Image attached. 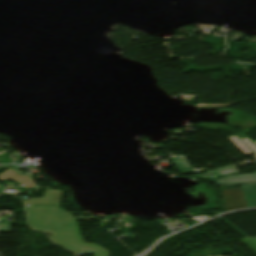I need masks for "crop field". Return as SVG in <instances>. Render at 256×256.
Returning a JSON list of instances; mask_svg holds the SVG:
<instances>
[{"label": "crop field", "instance_id": "2", "mask_svg": "<svg viewBox=\"0 0 256 256\" xmlns=\"http://www.w3.org/2000/svg\"><path fill=\"white\" fill-rule=\"evenodd\" d=\"M221 192L226 201L224 210L248 208L241 187L233 189L222 188Z\"/></svg>", "mask_w": 256, "mask_h": 256}, {"label": "crop field", "instance_id": "10", "mask_svg": "<svg viewBox=\"0 0 256 256\" xmlns=\"http://www.w3.org/2000/svg\"><path fill=\"white\" fill-rule=\"evenodd\" d=\"M10 225H0V233L1 232H9Z\"/></svg>", "mask_w": 256, "mask_h": 256}, {"label": "crop field", "instance_id": "4", "mask_svg": "<svg viewBox=\"0 0 256 256\" xmlns=\"http://www.w3.org/2000/svg\"><path fill=\"white\" fill-rule=\"evenodd\" d=\"M229 139L245 155L252 154L256 157V141H251L249 138L239 139L236 136L229 137Z\"/></svg>", "mask_w": 256, "mask_h": 256}, {"label": "crop field", "instance_id": "5", "mask_svg": "<svg viewBox=\"0 0 256 256\" xmlns=\"http://www.w3.org/2000/svg\"><path fill=\"white\" fill-rule=\"evenodd\" d=\"M21 178V179H19ZM11 179L17 183H21V187L24 188H35L33 183L30 182L26 176H17L14 169H7L4 173L0 174V180ZM28 181V183L26 182Z\"/></svg>", "mask_w": 256, "mask_h": 256}, {"label": "crop field", "instance_id": "7", "mask_svg": "<svg viewBox=\"0 0 256 256\" xmlns=\"http://www.w3.org/2000/svg\"><path fill=\"white\" fill-rule=\"evenodd\" d=\"M171 161L174 163L179 172L192 169L185 157H174L171 158Z\"/></svg>", "mask_w": 256, "mask_h": 256}, {"label": "crop field", "instance_id": "8", "mask_svg": "<svg viewBox=\"0 0 256 256\" xmlns=\"http://www.w3.org/2000/svg\"><path fill=\"white\" fill-rule=\"evenodd\" d=\"M215 171L217 172V174L219 176L227 175V174H231V173H235L236 172V170L234 169L233 165L227 166V167H223V168H219V169H215Z\"/></svg>", "mask_w": 256, "mask_h": 256}, {"label": "crop field", "instance_id": "3", "mask_svg": "<svg viewBox=\"0 0 256 256\" xmlns=\"http://www.w3.org/2000/svg\"><path fill=\"white\" fill-rule=\"evenodd\" d=\"M214 182L217 186H227V185H236V184H254L256 183V172L248 175L240 176H227L219 179H215ZM232 182V184H229Z\"/></svg>", "mask_w": 256, "mask_h": 256}, {"label": "crop field", "instance_id": "1", "mask_svg": "<svg viewBox=\"0 0 256 256\" xmlns=\"http://www.w3.org/2000/svg\"><path fill=\"white\" fill-rule=\"evenodd\" d=\"M63 191L46 189L43 198L25 200L28 221L34 229L51 233L52 240L77 255L94 252V256H105L100 248L82 243L73 215L59 209ZM55 204V206H32ZM52 217V219H50Z\"/></svg>", "mask_w": 256, "mask_h": 256}, {"label": "crop field", "instance_id": "9", "mask_svg": "<svg viewBox=\"0 0 256 256\" xmlns=\"http://www.w3.org/2000/svg\"><path fill=\"white\" fill-rule=\"evenodd\" d=\"M245 244H247L249 247H251L253 250L256 251V238H250V239H242Z\"/></svg>", "mask_w": 256, "mask_h": 256}, {"label": "crop field", "instance_id": "6", "mask_svg": "<svg viewBox=\"0 0 256 256\" xmlns=\"http://www.w3.org/2000/svg\"><path fill=\"white\" fill-rule=\"evenodd\" d=\"M256 186L254 185H242V189L249 208L256 207Z\"/></svg>", "mask_w": 256, "mask_h": 256}]
</instances>
